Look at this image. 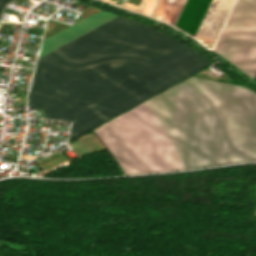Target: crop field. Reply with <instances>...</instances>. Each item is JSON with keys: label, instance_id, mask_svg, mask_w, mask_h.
<instances>
[{"label": "crop field", "instance_id": "1", "mask_svg": "<svg viewBox=\"0 0 256 256\" xmlns=\"http://www.w3.org/2000/svg\"><path fill=\"white\" fill-rule=\"evenodd\" d=\"M119 16L100 10L43 40L39 56ZM181 41L121 16L40 57L29 108L72 120L70 141L213 63Z\"/></svg>", "mask_w": 256, "mask_h": 256}, {"label": "crop field", "instance_id": "2", "mask_svg": "<svg viewBox=\"0 0 256 256\" xmlns=\"http://www.w3.org/2000/svg\"><path fill=\"white\" fill-rule=\"evenodd\" d=\"M153 99L188 169L256 161L254 91L192 77ZM153 99L93 130L124 174L187 169Z\"/></svg>", "mask_w": 256, "mask_h": 256}, {"label": "crop field", "instance_id": "3", "mask_svg": "<svg viewBox=\"0 0 256 256\" xmlns=\"http://www.w3.org/2000/svg\"><path fill=\"white\" fill-rule=\"evenodd\" d=\"M213 51L255 79L256 0H237Z\"/></svg>", "mask_w": 256, "mask_h": 256}, {"label": "crop field", "instance_id": "4", "mask_svg": "<svg viewBox=\"0 0 256 256\" xmlns=\"http://www.w3.org/2000/svg\"><path fill=\"white\" fill-rule=\"evenodd\" d=\"M10 1H12V0H0V14H1V12L3 11L5 5H6L7 3H9Z\"/></svg>", "mask_w": 256, "mask_h": 256}]
</instances>
